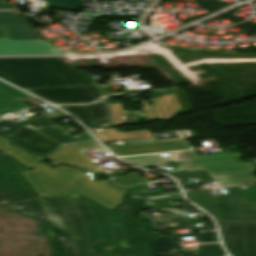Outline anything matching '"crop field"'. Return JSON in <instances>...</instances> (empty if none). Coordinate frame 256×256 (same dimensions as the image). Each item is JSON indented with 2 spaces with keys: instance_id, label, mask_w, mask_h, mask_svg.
Instances as JSON below:
<instances>
[{
  "instance_id": "obj_25",
  "label": "crop field",
  "mask_w": 256,
  "mask_h": 256,
  "mask_svg": "<svg viewBox=\"0 0 256 256\" xmlns=\"http://www.w3.org/2000/svg\"><path fill=\"white\" fill-rule=\"evenodd\" d=\"M112 183L118 186L130 188L143 183L150 182V180L142 178L134 173H129L125 176L110 179Z\"/></svg>"
},
{
  "instance_id": "obj_19",
  "label": "crop field",
  "mask_w": 256,
  "mask_h": 256,
  "mask_svg": "<svg viewBox=\"0 0 256 256\" xmlns=\"http://www.w3.org/2000/svg\"><path fill=\"white\" fill-rule=\"evenodd\" d=\"M102 142L120 141V140H131L141 138L154 137L149 130L134 132V133H120L115 128L102 129V130H91Z\"/></svg>"
},
{
  "instance_id": "obj_15",
  "label": "crop field",
  "mask_w": 256,
  "mask_h": 256,
  "mask_svg": "<svg viewBox=\"0 0 256 256\" xmlns=\"http://www.w3.org/2000/svg\"><path fill=\"white\" fill-rule=\"evenodd\" d=\"M63 53L44 41H11L0 38V54Z\"/></svg>"
},
{
  "instance_id": "obj_35",
  "label": "crop field",
  "mask_w": 256,
  "mask_h": 256,
  "mask_svg": "<svg viewBox=\"0 0 256 256\" xmlns=\"http://www.w3.org/2000/svg\"><path fill=\"white\" fill-rule=\"evenodd\" d=\"M8 155V153L0 151V156Z\"/></svg>"
},
{
  "instance_id": "obj_7",
  "label": "crop field",
  "mask_w": 256,
  "mask_h": 256,
  "mask_svg": "<svg viewBox=\"0 0 256 256\" xmlns=\"http://www.w3.org/2000/svg\"><path fill=\"white\" fill-rule=\"evenodd\" d=\"M195 236L199 242L218 241L215 232L187 234L176 236H163L151 240L144 246V256H181L178 252V240L180 237ZM202 254L189 256H222L219 245H200Z\"/></svg>"
},
{
  "instance_id": "obj_3",
  "label": "crop field",
  "mask_w": 256,
  "mask_h": 256,
  "mask_svg": "<svg viewBox=\"0 0 256 256\" xmlns=\"http://www.w3.org/2000/svg\"><path fill=\"white\" fill-rule=\"evenodd\" d=\"M23 174L42 197L74 189L110 209L122 202L127 192L109 185L106 180L95 181L92 175L66 166L51 168L41 163Z\"/></svg>"
},
{
  "instance_id": "obj_17",
  "label": "crop field",
  "mask_w": 256,
  "mask_h": 256,
  "mask_svg": "<svg viewBox=\"0 0 256 256\" xmlns=\"http://www.w3.org/2000/svg\"><path fill=\"white\" fill-rule=\"evenodd\" d=\"M173 156L161 157L159 154L153 155H143L121 158L122 160L136 166H141L143 168L153 167L164 163L176 162H194L186 152L172 153Z\"/></svg>"
},
{
  "instance_id": "obj_1",
  "label": "crop field",
  "mask_w": 256,
  "mask_h": 256,
  "mask_svg": "<svg viewBox=\"0 0 256 256\" xmlns=\"http://www.w3.org/2000/svg\"><path fill=\"white\" fill-rule=\"evenodd\" d=\"M134 203L125 200L110 210L72 190L11 207L36 217L53 236V256H136L140 241L152 235L131 221Z\"/></svg>"
},
{
  "instance_id": "obj_33",
  "label": "crop field",
  "mask_w": 256,
  "mask_h": 256,
  "mask_svg": "<svg viewBox=\"0 0 256 256\" xmlns=\"http://www.w3.org/2000/svg\"><path fill=\"white\" fill-rule=\"evenodd\" d=\"M14 4H6V0H0V10H14Z\"/></svg>"
},
{
  "instance_id": "obj_10",
  "label": "crop field",
  "mask_w": 256,
  "mask_h": 256,
  "mask_svg": "<svg viewBox=\"0 0 256 256\" xmlns=\"http://www.w3.org/2000/svg\"><path fill=\"white\" fill-rule=\"evenodd\" d=\"M41 197L22 173L0 178V207Z\"/></svg>"
},
{
  "instance_id": "obj_2",
  "label": "crop field",
  "mask_w": 256,
  "mask_h": 256,
  "mask_svg": "<svg viewBox=\"0 0 256 256\" xmlns=\"http://www.w3.org/2000/svg\"><path fill=\"white\" fill-rule=\"evenodd\" d=\"M0 78L23 89L97 85L59 57L0 58Z\"/></svg>"
},
{
  "instance_id": "obj_14",
  "label": "crop field",
  "mask_w": 256,
  "mask_h": 256,
  "mask_svg": "<svg viewBox=\"0 0 256 256\" xmlns=\"http://www.w3.org/2000/svg\"><path fill=\"white\" fill-rule=\"evenodd\" d=\"M116 156L142 155L192 149L184 140L108 147Z\"/></svg>"
},
{
  "instance_id": "obj_29",
  "label": "crop field",
  "mask_w": 256,
  "mask_h": 256,
  "mask_svg": "<svg viewBox=\"0 0 256 256\" xmlns=\"http://www.w3.org/2000/svg\"><path fill=\"white\" fill-rule=\"evenodd\" d=\"M48 7L76 11L81 8L80 0H46Z\"/></svg>"
},
{
  "instance_id": "obj_22",
  "label": "crop field",
  "mask_w": 256,
  "mask_h": 256,
  "mask_svg": "<svg viewBox=\"0 0 256 256\" xmlns=\"http://www.w3.org/2000/svg\"><path fill=\"white\" fill-rule=\"evenodd\" d=\"M0 149L3 151L8 152L10 155L18 159L19 161L23 162L30 168L36 166L37 164L41 163L43 158L32 157L22 151L20 148H14L8 145L6 139L0 137Z\"/></svg>"
},
{
  "instance_id": "obj_34",
  "label": "crop field",
  "mask_w": 256,
  "mask_h": 256,
  "mask_svg": "<svg viewBox=\"0 0 256 256\" xmlns=\"http://www.w3.org/2000/svg\"><path fill=\"white\" fill-rule=\"evenodd\" d=\"M0 37H9L4 25H0Z\"/></svg>"
},
{
  "instance_id": "obj_21",
  "label": "crop field",
  "mask_w": 256,
  "mask_h": 256,
  "mask_svg": "<svg viewBox=\"0 0 256 256\" xmlns=\"http://www.w3.org/2000/svg\"><path fill=\"white\" fill-rule=\"evenodd\" d=\"M132 198L143 199L142 206L168 203L177 200H183L179 192L171 193H150V194H130Z\"/></svg>"
},
{
  "instance_id": "obj_11",
  "label": "crop field",
  "mask_w": 256,
  "mask_h": 256,
  "mask_svg": "<svg viewBox=\"0 0 256 256\" xmlns=\"http://www.w3.org/2000/svg\"><path fill=\"white\" fill-rule=\"evenodd\" d=\"M95 149L111 156L101 145H99L96 141H93L66 147L51 155L49 159L52 160L53 164L56 165L68 163L74 166L82 167L86 170L100 172L101 169L96 167L97 162L83 155Z\"/></svg>"
},
{
  "instance_id": "obj_5",
  "label": "crop field",
  "mask_w": 256,
  "mask_h": 256,
  "mask_svg": "<svg viewBox=\"0 0 256 256\" xmlns=\"http://www.w3.org/2000/svg\"><path fill=\"white\" fill-rule=\"evenodd\" d=\"M178 166L180 168L169 170L167 173L207 170L219 187L256 183V169L253 163L244 162L242 159L202 161Z\"/></svg>"
},
{
  "instance_id": "obj_16",
  "label": "crop field",
  "mask_w": 256,
  "mask_h": 256,
  "mask_svg": "<svg viewBox=\"0 0 256 256\" xmlns=\"http://www.w3.org/2000/svg\"><path fill=\"white\" fill-rule=\"evenodd\" d=\"M15 11L0 12L12 40H41L24 18H14Z\"/></svg>"
},
{
  "instance_id": "obj_27",
  "label": "crop field",
  "mask_w": 256,
  "mask_h": 256,
  "mask_svg": "<svg viewBox=\"0 0 256 256\" xmlns=\"http://www.w3.org/2000/svg\"><path fill=\"white\" fill-rule=\"evenodd\" d=\"M187 153L191 156V158L194 161L242 158L240 153L208 154V155H198L195 151H188Z\"/></svg>"
},
{
  "instance_id": "obj_37",
  "label": "crop field",
  "mask_w": 256,
  "mask_h": 256,
  "mask_svg": "<svg viewBox=\"0 0 256 256\" xmlns=\"http://www.w3.org/2000/svg\"><path fill=\"white\" fill-rule=\"evenodd\" d=\"M88 127V126H87ZM88 128H92V127H88Z\"/></svg>"
},
{
  "instance_id": "obj_12",
  "label": "crop field",
  "mask_w": 256,
  "mask_h": 256,
  "mask_svg": "<svg viewBox=\"0 0 256 256\" xmlns=\"http://www.w3.org/2000/svg\"><path fill=\"white\" fill-rule=\"evenodd\" d=\"M177 96L181 102L180 105L175 95L150 99L155 108L147 105L146 101L143 100L142 103L144 107L142 110L145 117L148 120H163L165 122L175 117L178 109L181 110V114L183 113V108L186 113L193 111L185 93L179 94ZM153 101H155V103H153ZM163 114H165L166 120H164Z\"/></svg>"
},
{
  "instance_id": "obj_9",
  "label": "crop field",
  "mask_w": 256,
  "mask_h": 256,
  "mask_svg": "<svg viewBox=\"0 0 256 256\" xmlns=\"http://www.w3.org/2000/svg\"><path fill=\"white\" fill-rule=\"evenodd\" d=\"M55 104L90 103L104 96L100 86L28 90Z\"/></svg>"
},
{
  "instance_id": "obj_30",
  "label": "crop field",
  "mask_w": 256,
  "mask_h": 256,
  "mask_svg": "<svg viewBox=\"0 0 256 256\" xmlns=\"http://www.w3.org/2000/svg\"><path fill=\"white\" fill-rule=\"evenodd\" d=\"M31 110H33V112L41 115V118L35 119V120L26 121V122H22V123H13V122H8L6 120H3V121L0 122V135H3V134H6V133L10 132L14 127H16L18 125L51 120L50 118H48L45 115H43L40 112H38L37 110H35L33 108ZM4 127H7L9 129L8 130L2 129Z\"/></svg>"
},
{
  "instance_id": "obj_20",
  "label": "crop field",
  "mask_w": 256,
  "mask_h": 256,
  "mask_svg": "<svg viewBox=\"0 0 256 256\" xmlns=\"http://www.w3.org/2000/svg\"><path fill=\"white\" fill-rule=\"evenodd\" d=\"M150 220L154 226L153 231L194 227L182 219L168 213L152 217Z\"/></svg>"
},
{
  "instance_id": "obj_6",
  "label": "crop field",
  "mask_w": 256,
  "mask_h": 256,
  "mask_svg": "<svg viewBox=\"0 0 256 256\" xmlns=\"http://www.w3.org/2000/svg\"><path fill=\"white\" fill-rule=\"evenodd\" d=\"M226 248L232 256H256V223H219Z\"/></svg>"
},
{
  "instance_id": "obj_23",
  "label": "crop field",
  "mask_w": 256,
  "mask_h": 256,
  "mask_svg": "<svg viewBox=\"0 0 256 256\" xmlns=\"http://www.w3.org/2000/svg\"><path fill=\"white\" fill-rule=\"evenodd\" d=\"M30 170L12 156L0 157V177Z\"/></svg>"
},
{
  "instance_id": "obj_24",
  "label": "crop field",
  "mask_w": 256,
  "mask_h": 256,
  "mask_svg": "<svg viewBox=\"0 0 256 256\" xmlns=\"http://www.w3.org/2000/svg\"><path fill=\"white\" fill-rule=\"evenodd\" d=\"M28 107L30 106L0 92V114L6 111L16 113Z\"/></svg>"
},
{
  "instance_id": "obj_4",
  "label": "crop field",
  "mask_w": 256,
  "mask_h": 256,
  "mask_svg": "<svg viewBox=\"0 0 256 256\" xmlns=\"http://www.w3.org/2000/svg\"><path fill=\"white\" fill-rule=\"evenodd\" d=\"M226 189V195H213L210 191L185 193L191 201L203 207L217 221L256 222V185L245 189Z\"/></svg>"
},
{
  "instance_id": "obj_28",
  "label": "crop field",
  "mask_w": 256,
  "mask_h": 256,
  "mask_svg": "<svg viewBox=\"0 0 256 256\" xmlns=\"http://www.w3.org/2000/svg\"><path fill=\"white\" fill-rule=\"evenodd\" d=\"M113 126L120 125L128 121L127 114L122 109L121 103H109Z\"/></svg>"
},
{
  "instance_id": "obj_8",
  "label": "crop field",
  "mask_w": 256,
  "mask_h": 256,
  "mask_svg": "<svg viewBox=\"0 0 256 256\" xmlns=\"http://www.w3.org/2000/svg\"><path fill=\"white\" fill-rule=\"evenodd\" d=\"M55 124L57 123L51 121L23 126L15 129L6 136L11 138L13 145H20L34 155L49 156L66 146L32 130L31 128Z\"/></svg>"
},
{
  "instance_id": "obj_26",
  "label": "crop field",
  "mask_w": 256,
  "mask_h": 256,
  "mask_svg": "<svg viewBox=\"0 0 256 256\" xmlns=\"http://www.w3.org/2000/svg\"><path fill=\"white\" fill-rule=\"evenodd\" d=\"M172 176L177 180L193 178V177H197L198 179L202 180V182L187 183V184H184L183 181H181L180 183L184 187L193 186L195 184L209 183L214 181L207 171H200V172H194V173H182V174H177Z\"/></svg>"
},
{
  "instance_id": "obj_32",
  "label": "crop field",
  "mask_w": 256,
  "mask_h": 256,
  "mask_svg": "<svg viewBox=\"0 0 256 256\" xmlns=\"http://www.w3.org/2000/svg\"><path fill=\"white\" fill-rule=\"evenodd\" d=\"M167 212L174 213V214H176V215H178V216H180V217H182L186 220H189V217H187L185 214H187L189 212H201V213H203L202 211H178V210H169Z\"/></svg>"
},
{
  "instance_id": "obj_31",
  "label": "crop field",
  "mask_w": 256,
  "mask_h": 256,
  "mask_svg": "<svg viewBox=\"0 0 256 256\" xmlns=\"http://www.w3.org/2000/svg\"><path fill=\"white\" fill-rule=\"evenodd\" d=\"M0 91L18 99V100H21L27 96H29L28 94L10 86V85H7L3 82L0 81ZM30 97V96H29Z\"/></svg>"
},
{
  "instance_id": "obj_36",
  "label": "crop field",
  "mask_w": 256,
  "mask_h": 256,
  "mask_svg": "<svg viewBox=\"0 0 256 256\" xmlns=\"http://www.w3.org/2000/svg\"><path fill=\"white\" fill-rule=\"evenodd\" d=\"M0 24H3L2 21H1V18H0Z\"/></svg>"
},
{
  "instance_id": "obj_13",
  "label": "crop field",
  "mask_w": 256,
  "mask_h": 256,
  "mask_svg": "<svg viewBox=\"0 0 256 256\" xmlns=\"http://www.w3.org/2000/svg\"><path fill=\"white\" fill-rule=\"evenodd\" d=\"M78 120L96 127L112 126L108 101L92 105L59 106Z\"/></svg>"
},
{
  "instance_id": "obj_18",
  "label": "crop field",
  "mask_w": 256,
  "mask_h": 256,
  "mask_svg": "<svg viewBox=\"0 0 256 256\" xmlns=\"http://www.w3.org/2000/svg\"><path fill=\"white\" fill-rule=\"evenodd\" d=\"M34 130L66 145V146L94 140L84 130L80 131L83 134L73 136L70 133L66 132L65 128L60 125L35 128Z\"/></svg>"
}]
</instances>
